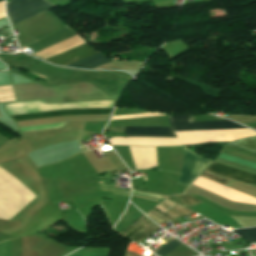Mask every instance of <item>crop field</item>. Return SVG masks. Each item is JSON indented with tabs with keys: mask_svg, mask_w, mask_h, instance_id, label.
Here are the masks:
<instances>
[{
	"mask_svg": "<svg viewBox=\"0 0 256 256\" xmlns=\"http://www.w3.org/2000/svg\"><path fill=\"white\" fill-rule=\"evenodd\" d=\"M207 170L239 180L249 184H256V174L236 170L231 167L213 163Z\"/></svg>",
	"mask_w": 256,
	"mask_h": 256,
	"instance_id": "obj_7",
	"label": "crop field"
},
{
	"mask_svg": "<svg viewBox=\"0 0 256 256\" xmlns=\"http://www.w3.org/2000/svg\"><path fill=\"white\" fill-rule=\"evenodd\" d=\"M180 244H182V243H180L178 240H176L174 238L171 242L165 244L164 246H162L160 249H158L154 253H156L159 256H164Z\"/></svg>",
	"mask_w": 256,
	"mask_h": 256,
	"instance_id": "obj_12",
	"label": "crop field"
},
{
	"mask_svg": "<svg viewBox=\"0 0 256 256\" xmlns=\"http://www.w3.org/2000/svg\"><path fill=\"white\" fill-rule=\"evenodd\" d=\"M34 196L11 174L0 168V218L9 219L20 211Z\"/></svg>",
	"mask_w": 256,
	"mask_h": 256,
	"instance_id": "obj_1",
	"label": "crop field"
},
{
	"mask_svg": "<svg viewBox=\"0 0 256 256\" xmlns=\"http://www.w3.org/2000/svg\"><path fill=\"white\" fill-rule=\"evenodd\" d=\"M113 109H77V110H56L44 111L32 114L13 116L15 121L39 119L63 115H90V114H111Z\"/></svg>",
	"mask_w": 256,
	"mask_h": 256,
	"instance_id": "obj_6",
	"label": "crop field"
},
{
	"mask_svg": "<svg viewBox=\"0 0 256 256\" xmlns=\"http://www.w3.org/2000/svg\"><path fill=\"white\" fill-rule=\"evenodd\" d=\"M233 232L237 233L238 235L246 239L248 242H256V228L233 230Z\"/></svg>",
	"mask_w": 256,
	"mask_h": 256,
	"instance_id": "obj_11",
	"label": "crop field"
},
{
	"mask_svg": "<svg viewBox=\"0 0 256 256\" xmlns=\"http://www.w3.org/2000/svg\"><path fill=\"white\" fill-rule=\"evenodd\" d=\"M228 144L231 146H234V147L243 148V149H246V150L256 153V136L236 140V141H233Z\"/></svg>",
	"mask_w": 256,
	"mask_h": 256,
	"instance_id": "obj_10",
	"label": "crop field"
},
{
	"mask_svg": "<svg viewBox=\"0 0 256 256\" xmlns=\"http://www.w3.org/2000/svg\"><path fill=\"white\" fill-rule=\"evenodd\" d=\"M54 7L45 0H10L7 2V15L13 25Z\"/></svg>",
	"mask_w": 256,
	"mask_h": 256,
	"instance_id": "obj_2",
	"label": "crop field"
},
{
	"mask_svg": "<svg viewBox=\"0 0 256 256\" xmlns=\"http://www.w3.org/2000/svg\"><path fill=\"white\" fill-rule=\"evenodd\" d=\"M0 1H3V0H0Z\"/></svg>",
	"mask_w": 256,
	"mask_h": 256,
	"instance_id": "obj_14",
	"label": "crop field"
},
{
	"mask_svg": "<svg viewBox=\"0 0 256 256\" xmlns=\"http://www.w3.org/2000/svg\"><path fill=\"white\" fill-rule=\"evenodd\" d=\"M135 195V194H134ZM139 196V195H138ZM142 197H144V196H142ZM146 198H148V197H146ZM149 199H153V198H149ZM153 200H157V199H153ZM158 201V200H157Z\"/></svg>",
	"mask_w": 256,
	"mask_h": 256,
	"instance_id": "obj_13",
	"label": "crop field"
},
{
	"mask_svg": "<svg viewBox=\"0 0 256 256\" xmlns=\"http://www.w3.org/2000/svg\"><path fill=\"white\" fill-rule=\"evenodd\" d=\"M108 62H110V60H108L102 54L98 53L96 55H93L91 57H88L86 59L78 61L76 63H73L71 65H68L66 67L81 68V69H94V68L101 66L103 64H106Z\"/></svg>",
	"mask_w": 256,
	"mask_h": 256,
	"instance_id": "obj_9",
	"label": "crop field"
},
{
	"mask_svg": "<svg viewBox=\"0 0 256 256\" xmlns=\"http://www.w3.org/2000/svg\"><path fill=\"white\" fill-rule=\"evenodd\" d=\"M127 136L175 137L170 127H125Z\"/></svg>",
	"mask_w": 256,
	"mask_h": 256,
	"instance_id": "obj_8",
	"label": "crop field"
},
{
	"mask_svg": "<svg viewBox=\"0 0 256 256\" xmlns=\"http://www.w3.org/2000/svg\"><path fill=\"white\" fill-rule=\"evenodd\" d=\"M212 161L187 150L184 147L183 167L178 184L187 187Z\"/></svg>",
	"mask_w": 256,
	"mask_h": 256,
	"instance_id": "obj_4",
	"label": "crop field"
},
{
	"mask_svg": "<svg viewBox=\"0 0 256 256\" xmlns=\"http://www.w3.org/2000/svg\"><path fill=\"white\" fill-rule=\"evenodd\" d=\"M96 53H98L97 50L90 48L88 46V44L84 43V44L77 46L73 49H70V50L65 51L61 54H58L54 57H51L45 61L53 63L58 66H66L68 64H71L73 62H76L78 60H81L83 58H86V57L91 56ZM33 56H35V55H33ZM35 57H37V56H35ZM37 58H39V57H37ZM39 59H41V58H39Z\"/></svg>",
	"mask_w": 256,
	"mask_h": 256,
	"instance_id": "obj_5",
	"label": "crop field"
},
{
	"mask_svg": "<svg viewBox=\"0 0 256 256\" xmlns=\"http://www.w3.org/2000/svg\"><path fill=\"white\" fill-rule=\"evenodd\" d=\"M173 131L222 130L245 128L228 120L191 123L190 115L168 116Z\"/></svg>",
	"mask_w": 256,
	"mask_h": 256,
	"instance_id": "obj_3",
	"label": "crop field"
}]
</instances>
